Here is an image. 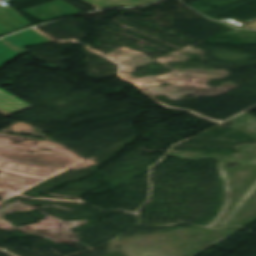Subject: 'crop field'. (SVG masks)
Listing matches in <instances>:
<instances>
[{
    "mask_svg": "<svg viewBox=\"0 0 256 256\" xmlns=\"http://www.w3.org/2000/svg\"><path fill=\"white\" fill-rule=\"evenodd\" d=\"M24 12L33 16L37 20L44 22L56 18L64 17L74 13L77 10L63 2L62 0H55L28 10ZM31 25L21 15L13 11L9 7H0V36L8 34L17 29Z\"/></svg>",
    "mask_w": 256,
    "mask_h": 256,
    "instance_id": "1",
    "label": "crop field"
},
{
    "mask_svg": "<svg viewBox=\"0 0 256 256\" xmlns=\"http://www.w3.org/2000/svg\"><path fill=\"white\" fill-rule=\"evenodd\" d=\"M51 42V40L32 29L1 39L0 68L19 55L28 52L24 47Z\"/></svg>",
    "mask_w": 256,
    "mask_h": 256,
    "instance_id": "2",
    "label": "crop field"
},
{
    "mask_svg": "<svg viewBox=\"0 0 256 256\" xmlns=\"http://www.w3.org/2000/svg\"><path fill=\"white\" fill-rule=\"evenodd\" d=\"M28 107L31 106L0 89V113L4 116Z\"/></svg>",
    "mask_w": 256,
    "mask_h": 256,
    "instance_id": "3",
    "label": "crop field"
},
{
    "mask_svg": "<svg viewBox=\"0 0 256 256\" xmlns=\"http://www.w3.org/2000/svg\"><path fill=\"white\" fill-rule=\"evenodd\" d=\"M98 9L112 6H140L157 0H80Z\"/></svg>",
    "mask_w": 256,
    "mask_h": 256,
    "instance_id": "4",
    "label": "crop field"
}]
</instances>
